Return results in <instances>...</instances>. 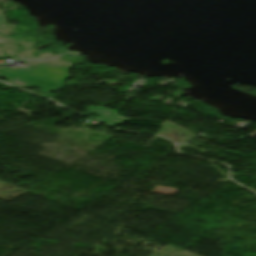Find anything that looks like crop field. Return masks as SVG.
I'll return each mask as SVG.
<instances>
[{
    "mask_svg": "<svg viewBox=\"0 0 256 256\" xmlns=\"http://www.w3.org/2000/svg\"><path fill=\"white\" fill-rule=\"evenodd\" d=\"M0 14H1V11H0Z\"/></svg>",
    "mask_w": 256,
    "mask_h": 256,
    "instance_id": "crop-field-2",
    "label": "crop field"
},
{
    "mask_svg": "<svg viewBox=\"0 0 256 256\" xmlns=\"http://www.w3.org/2000/svg\"><path fill=\"white\" fill-rule=\"evenodd\" d=\"M67 67L57 69L42 66L38 70L30 69L29 73L25 76H18L13 74L14 71L10 69L0 70V76L10 79V82L19 87H32L36 86L42 92H53L66 82L70 77L66 72ZM43 71L42 74L39 72Z\"/></svg>",
    "mask_w": 256,
    "mask_h": 256,
    "instance_id": "crop-field-1",
    "label": "crop field"
}]
</instances>
